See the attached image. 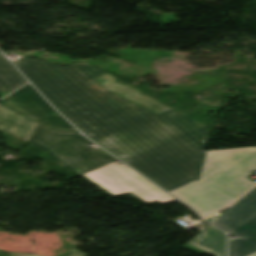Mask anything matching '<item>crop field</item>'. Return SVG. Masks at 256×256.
Returning a JSON list of instances; mask_svg holds the SVG:
<instances>
[{"instance_id":"obj_3","label":"crop field","mask_w":256,"mask_h":256,"mask_svg":"<svg viewBox=\"0 0 256 256\" xmlns=\"http://www.w3.org/2000/svg\"><path fill=\"white\" fill-rule=\"evenodd\" d=\"M256 169V147L207 151L200 182L235 199L256 182L246 178Z\"/></svg>"},{"instance_id":"obj_9","label":"crop field","mask_w":256,"mask_h":256,"mask_svg":"<svg viewBox=\"0 0 256 256\" xmlns=\"http://www.w3.org/2000/svg\"><path fill=\"white\" fill-rule=\"evenodd\" d=\"M39 122L15 113L0 103V133L11 149H23Z\"/></svg>"},{"instance_id":"obj_4","label":"crop field","mask_w":256,"mask_h":256,"mask_svg":"<svg viewBox=\"0 0 256 256\" xmlns=\"http://www.w3.org/2000/svg\"><path fill=\"white\" fill-rule=\"evenodd\" d=\"M29 142L44 147L81 175L117 160L100 148L93 149L88 145L91 142L77 132L56 131L42 123Z\"/></svg>"},{"instance_id":"obj_1","label":"crop field","mask_w":256,"mask_h":256,"mask_svg":"<svg viewBox=\"0 0 256 256\" xmlns=\"http://www.w3.org/2000/svg\"><path fill=\"white\" fill-rule=\"evenodd\" d=\"M56 109L168 191L199 178L208 141L199 121L173 110L156 115L108 91Z\"/></svg>"},{"instance_id":"obj_6","label":"crop field","mask_w":256,"mask_h":256,"mask_svg":"<svg viewBox=\"0 0 256 256\" xmlns=\"http://www.w3.org/2000/svg\"><path fill=\"white\" fill-rule=\"evenodd\" d=\"M210 224L239 238L229 242L230 256H256V187Z\"/></svg>"},{"instance_id":"obj_11","label":"crop field","mask_w":256,"mask_h":256,"mask_svg":"<svg viewBox=\"0 0 256 256\" xmlns=\"http://www.w3.org/2000/svg\"><path fill=\"white\" fill-rule=\"evenodd\" d=\"M183 247L198 254L226 256L225 234L208 225Z\"/></svg>"},{"instance_id":"obj_8","label":"crop field","mask_w":256,"mask_h":256,"mask_svg":"<svg viewBox=\"0 0 256 256\" xmlns=\"http://www.w3.org/2000/svg\"><path fill=\"white\" fill-rule=\"evenodd\" d=\"M170 193L194 209L201 217L214 214L235 201L198 181Z\"/></svg>"},{"instance_id":"obj_13","label":"crop field","mask_w":256,"mask_h":256,"mask_svg":"<svg viewBox=\"0 0 256 256\" xmlns=\"http://www.w3.org/2000/svg\"><path fill=\"white\" fill-rule=\"evenodd\" d=\"M0 256H39V255H29V254H20V253H10L0 250ZM59 256H86L85 254L73 249Z\"/></svg>"},{"instance_id":"obj_12","label":"crop field","mask_w":256,"mask_h":256,"mask_svg":"<svg viewBox=\"0 0 256 256\" xmlns=\"http://www.w3.org/2000/svg\"><path fill=\"white\" fill-rule=\"evenodd\" d=\"M26 80L0 53V92H11Z\"/></svg>"},{"instance_id":"obj_2","label":"crop field","mask_w":256,"mask_h":256,"mask_svg":"<svg viewBox=\"0 0 256 256\" xmlns=\"http://www.w3.org/2000/svg\"><path fill=\"white\" fill-rule=\"evenodd\" d=\"M13 62L55 107L96 92L85 82L106 73L97 67H62L25 57Z\"/></svg>"},{"instance_id":"obj_14","label":"crop field","mask_w":256,"mask_h":256,"mask_svg":"<svg viewBox=\"0 0 256 256\" xmlns=\"http://www.w3.org/2000/svg\"><path fill=\"white\" fill-rule=\"evenodd\" d=\"M223 212H220V213H218V214H216V215H214V216H211V217H209V218H207V219H205V220H207L209 223L210 222H212L214 219H216L220 214H222Z\"/></svg>"},{"instance_id":"obj_5","label":"crop field","mask_w":256,"mask_h":256,"mask_svg":"<svg viewBox=\"0 0 256 256\" xmlns=\"http://www.w3.org/2000/svg\"><path fill=\"white\" fill-rule=\"evenodd\" d=\"M83 177L114 197L130 193L146 204L175 201L171 196L123 164L111 163L87 173Z\"/></svg>"},{"instance_id":"obj_10","label":"crop field","mask_w":256,"mask_h":256,"mask_svg":"<svg viewBox=\"0 0 256 256\" xmlns=\"http://www.w3.org/2000/svg\"><path fill=\"white\" fill-rule=\"evenodd\" d=\"M115 77L111 74L107 73L95 80L87 82L93 85V89L99 91L100 93L109 90L123 98H128L130 101L156 113L159 114L163 111H166L170 108L160 104L159 102L153 100L152 98L146 96L142 97L139 94L141 92L129 87L128 85L124 84H115Z\"/></svg>"},{"instance_id":"obj_7","label":"crop field","mask_w":256,"mask_h":256,"mask_svg":"<svg viewBox=\"0 0 256 256\" xmlns=\"http://www.w3.org/2000/svg\"><path fill=\"white\" fill-rule=\"evenodd\" d=\"M3 100L6 105L13 109L48 123L57 129L75 130L45 102L30 84L25 85Z\"/></svg>"}]
</instances>
